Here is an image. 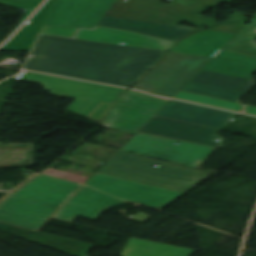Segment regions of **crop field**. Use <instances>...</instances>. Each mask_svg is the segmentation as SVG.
<instances>
[{"instance_id": "crop-field-12", "label": "crop field", "mask_w": 256, "mask_h": 256, "mask_svg": "<svg viewBox=\"0 0 256 256\" xmlns=\"http://www.w3.org/2000/svg\"><path fill=\"white\" fill-rule=\"evenodd\" d=\"M109 161L198 182L203 181L205 178L212 174L198 169H193L121 151H118ZM155 165H158L157 168L154 167Z\"/></svg>"}, {"instance_id": "crop-field-5", "label": "crop field", "mask_w": 256, "mask_h": 256, "mask_svg": "<svg viewBox=\"0 0 256 256\" xmlns=\"http://www.w3.org/2000/svg\"><path fill=\"white\" fill-rule=\"evenodd\" d=\"M79 191L131 201L158 210L183 195V193L143 185L99 173H96Z\"/></svg>"}, {"instance_id": "crop-field-23", "label": "crop field", "mask_w": 256, "mask_h": 256, "mask_svg": "<svg viewBox=\"0 0 256 256\" xmlns=\"http://www.w3.org/2000/svg\"><path fill=\"white\" fill-rule=\"evenodd\" d=\"M232 14L228 21L222 22L214 27L209 28V30L225 31L237 33L245 24L246 21L244 15L241 13L232 11Z\"/></svg>"}, {"instance_id": "crop-field-27", "label": "crop field", "mask_w": 256, "mask_h": 256, "mask_svg": "<svg viewBox=\"0 0 256 256\" xmlns=\"http://www.w3.org/2000/svg\"><path fill=\"white\" fill-rule=\"evenodd\" d=\"M245 107H246L245 109L246 113L256 115V107L249 106V105H246Z\"/></svg>"}, {"instance_id": "crop-field-14", "label": "crop field", "mask_w": 256, "mask_h": 256, "mask_svg": "<svg viewBox=\"0 0 256 256\" xmlns=\"http://www.w3.org/2000/svg\"><path fill=\"white\" fill-rule=\"evenodd\" d=\"M97 25L125 29L169 41L176 42L183 37L201 29L180 27L169 24L148 23L131 20L109 18L103 16Z\"/></svg>"}, {"instance_id": "crop-field-19", "label": "crop field", "mask_w": 256, "mask_h": 256, "mask_svg": "<svg viewBox=\"0 0 256 256\" xmlns=\"http://www.w3.org/2000/svg\"><path fill=\"white\" fill-rule=\"evenodd\" d=\"M98 172L107 174V175H111V176H116V177H120V178H124V179H128V180H133V181L149 184V185H154V186H158V187H162V188H166V189H171V190H175V191H179V192H183V193H186L189 190L193 189L191 187H186V186L168 183V182H164V181H159V180H155V179H150V178H146V177L136 176V175L118 172V171H114V170H109V169H105V168H102Z\"/></svg>"}, {"instance_id": "crop-field-17", "label": "crop field", "mask_w": 256, "mask_h": 256, "mask_svg": "<svg viewBox=\"0 0 256 256\" xmlns=\"http://www.w3.org/2000/svg\"><path fill=\"white\" fill-rule=\"evenodd\" d=\"M193 249L130 238L121 256H190Z\"/></svg>"}, {"instance_id": "crop-field-10", "label": "crop field", "mask_w": 256, "mask_h": 256, "mask_svg": "<svg viewBox=\"0 0 256 256\" xmlns=\"http://www.w3.org/2000/svg\"><path fill=\"white\" fill-rule=\"evenodd\" d=\"M156 115L221 129L234 113L171 100Z\"/></svg>"}, {"instance_id": "crop-field-24", "label": "crop field", "mask_w": 256, "mask_h": 256, "mask_svg": "<svg viewBox=\"0 0 256 256\" xmlns=\"http://www.w3.org/2000/svg\"><path fill=\"white\" fill-rule=\"evenodd\" d=\"M42 1L43 0H0V4L26 11L20 21V23H22Z\"/></svg>"}, {"instance_id": "crop-field-13", "label": "crop field", "mask_w": 256, "mask_h": 256, "mask_svg": "<svg viewBox=\"0 0 256 256\" xmlns=\"http://www.w3.org/2000/svg\"><path fill=\"white\" fill-rule=\"evenodd\" d=\"M124 201L76 192L52 217L72 222L77 216L96 220L103 209Z\"/></svg>"}, {"instance_id": "crop-field-7", "label": "crop field", "mask_w": 256, "mask_h": 256, "mask_svg": "<svg viewBox=\"0 0 256 256\" xmlns=\"http://www.w3.org/2000/svg\"><path fill=\"white\" fill-rule=\"evenodd\" d=\"M165 103L150 95L128 90L104 117L103 126L136 133Z\"/></svg>"}, {"instance_id": "crop-field-4", "label": "crop field", "mask_w": 256, "mask_h": 256, "mask_svg": "<svg viewBox=\"0 0 256 256\" xmlns=\"http://www.w3.org/2000/svg\"><path fill=\"white\" fill-rule=\"evenodd\" d=\"M210 59L168 52L132 88L172 98Z\"/></svg>"}, {"instance_id": "crop-field-8", "label": "crop field", "mask_w": 256, "mask_h": 256, "mask_svg": "<svg viewBox=\"0 0 256 256\" xmlns=\"http://www.w3.org/2000/svg\"><path fill=\"white\" fill-rule=\"evenodd\" d=\"M114 0H55L43 25L94 28Z\"/></svg>"}, {"instance_id": "crop-field-20", "label": "crop field", "mask_w": 256, "mask_h": 256, "mask_svg": "<svg viewBox=\"0 0 256 256\" xmlns=\"http://www.w3.org/2000/svg\"><path fill=\"white\" fill-rule=\"evenodd\" d=\"M173 98L189 101V102L210 105V106L219 107L223 109L233 110L237 112H240L242 109L240 105L235 103H230V102H226V101H222V100H218V99H214V98H210L202 95L182 92V91H179Z\"/></svg>"}, {"instance_id": "crop-field-25", "label": "crop field", "mask_w": 256, "mask_h": 256, "mask_svg": "<svg viewBox=\"0 0 256 256\" xmlns=\"http://www.w3.org/2000/svg\"><path fill=\"white\" fill-rule=\"evenodd\" d=\"M76 28L43 26L40 33L73 37Z\"/></svg>"}, {"instance_id": "crop-field-11", "label": "crop field", "mask_w": 256, "mask_h": 256, "mask_svg": "<svg viewBox=\"0 0 256 256\" xmlns=\"http://www.w3.org/2000/svg\"><path fill=\"white\" fill-rule=\"evenodd\" d=\"M75 39L105 42L166 51L173 42L152 38L129 31L97 26L95 30H79Z\"/></svg>"}, {"instance_id": "crop-field-18", "label": "crop field", "mask_w": 256, "mask_h": 256, "mask_svg": "<svg viewBox=\"0 0 256 256\" xmlns=\"http://www.w3.org/2000/svg\"><path fill=\"white\" fill-rule=\"evenodd\" d=\"M190 83L208 85L244 93L252 85V80L223 75L200 70L190 81Z\"/></svg>"}, {"instance_id": "crop-field-21", "label": "crop field", "mask_w": 256, "mask_h": 256, "mask_svg": "<svg viewBox=\"0 0 256 256\" xmlns=\"http://www.w3.org/2000/svg\"><path fill=\"white\" fill-rule=\"evenodd\" d=\"M182 91L202 94L230 102H236V99L242 95L241 93L232 92L228 90H223L219 88L214 87H208V86H202V85H196V84H190L187 83L182 89Z\"/></svg>"}, {"instance_id": "crop-field-3", "label": "crop field", "mask_w": 256, "mask_h": 256, "mask_svg": "<svg viewBox=\"0 0 256 256\" xmlns=\"http://www.w3.org/2000/svg\"><path fill=\"white\" fill-rule=\"evenodd\" d=\"M16 79L43 84L45 89L51 91L53 95L76 98L67 110L83 116H89L101 102L114 103L120 93L125 90L124 88L30 72H25L17 76Z\"/></svg>"}, {"instance_id": "crop-field-26", "label": "crop field", "mask_w": 256, "mask_h": 256, "mask_svg": "<svg viewBox=\"0 0 256 256\" xmlns=\"http://www.w3.org/2000/svg\"><path fill=\"white\" fill-rule=\"evenodd\" d=\"M150 217V215H147V214H144V213H141V212H138L128 218L130 219H133V220H136L138 222H141L143 223L146 219H148Z\"/></svg>"}, {"instance_id": "crop-field-1", "label": "crop field", "mask_w": 256, "mask_h": 256, "mask_svg": "<svg viewBox=\"0 0 256 256\" xmlns=\"http://www.w3.org/2000/svg\"><path fill=\"white\" fill-rule=\"evenodd\" d=\"M32 53L25 69L128 87L164 52L40 35Z\"/></svg>"}, {"instance_id": "crop-field-16", "label": "crop field", "mask_w": 256, "mask_h": 256, "mask_svg": "<svg viewBox=\"0 0 256 256\" xmlns=\"http://www.w3.org/2000/svg\"><path fill=\"white\" fill-rule=\"evenodd\" d=\"M0 230L5 231L19 237L49 246L51 248L73 254L76 256H86L92 248V245L40 233L25 229H20L0 223Z\"/></svg>"}, {"instance_id": "crop-field-9", "label": "crop field", "mask_w": 256, "mask_h": 256, "mask_svg": "<svg viewBox=\"0 0 256 256\" xmlns=\"http://www.w3.org/2000/svg\"><path fill=\"white\" fill-rule=\"evenodd\" d=\"M139 131L177 140L220 147L223 138L220 130L154 116ZM221 140L220 142L215 141Z\"/></svg>"}, {"instance_id": "crop-field-15", "label": "crop field", "mask_w": 256, "mask_h": 256, "mask_svg": "<svg viewBox=\"0 0 256 256\" xmlns=\"http://www.w3.org/2000/svg\"><path fill=\"white\" fill-rule=\"evenodd\" d=\"M235 35L233 33L203 30L185 38L169 51L213 57Z\"/></svg>"}, {"instance_id": "crop-field-2", "label": "crop field", "mask_w": 256, "mask_h": 256, "mask_svg": "<svg viewBox=\"0 0 256 256\" xmlns=\"http://www.w3.org/2000/svg\"><path fill=\"white\" fill-rule=\"evenodd\" d=\"M82 185L39 173L0 203V221L38 231Z\"/></svg>"}, {"instance_id": "crop-field-6", "label": "crop field", "mask_w": 256, "mask_h": 256, "mask_svg": "<svg viewBox=\"0 0 256 256\" xmlns=\"http://www.w3.org/2000/svg\"><path fill=\"white\" fill-rule=\"evenodd\" d=\"M256 17L245 25L202 69L251 79L256 71Z\"/></svg>"}, {"instance_id": "crop-field-22", "label": "crop field", "mask_w": 256, "mask_h": 256, "mask_svg": "<svg viewBox=\"0 0 256 256\" xmlns=\"http://www.w3.org/2000/svg\"><path fill=\"white\" fill-rule=\"evenodd\" d=\"M104 166L109 167V168H113V169H118V170H122V171L135 173V174L149 176V177H153V178H157V179L171 181V182H175V183H179V184H183V185H187V186H191V187L193 185L200 184L198 182H194V181H190V180L176 178V177H172V176H168V175H163V174H159V173H154V172H150V171L136 169V168L123 166V165H119V164H114V163H110V162H107Z\"/></svg>"}]
</instances>
